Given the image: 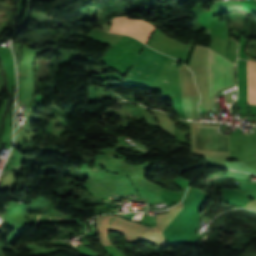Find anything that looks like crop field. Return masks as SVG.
<instances>
[{"label": "crop field", "instance_id": "8a807250", "mask_svg": "<svg viewBox=\"0 0 256 256\" xmlns=\"http://www.w3.org/2000/svg\"><path fill=\"white\" fill-rule=\"evenodd\" d=\"M211 96L217 90L235 85L234 64L209 51L207 62Z\"/></svg>", "mask_w": 256, "mask_h": 256}, {"label": "crop field", "instance_id": "ac0d7876", "mask_svg": "<svg viewBox=\"0 0 256 256\" xmlns=\"http://www.w3.org/2000/svg\"><path fill=\"white\" fill-rule=\"evenodd\" d=\"M154 28V26L143 20L117 17L113 18V26L110 32L130 35L146 43Z\"/></svg>", "mask_w": 256, "mask_h": 256}, {"label": "crop field", "instance_id": "34b2d1b8", "mask_svg": "<svg viewBox=\"0 0 256 256\" xmlns=\"http://www.w3.org/2000/svg\"><path fill=\"white\" fill-rule=\"evenodd\" d=\"M247 95L250 104H256V63L246 61Z\"/></svg>", "mask_w": 256, "mask_h": 256}, {"label": "crop field", "instance_id": "412701ff", "mask_svg": "<svg viewBox=\"0 0 256 256\" xmlns=\"http://www.w3.org/2000/svg\"><path fill=\"white\" fill-rule=\"evenodd\" d=\"M219 150L228 151V138L219 135Z\"/></svg>", "mask_w": 256, "mask_h": 256}]
</instances>
